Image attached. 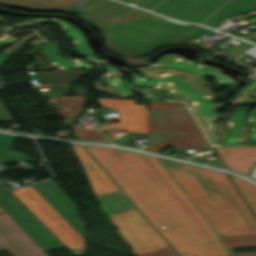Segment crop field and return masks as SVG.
I'll return each instance as SVG.
<instances>
[{"label": "crop field", "instance_id": "crop-field-1", "mask_svg": "<svg viewBox=\"0 0 256 256\" xmlns=\"http://www.w3.org/2000/svg\"><path fill=\"white\" fill-rule=\"evenodd\" d=\"M92 9L79 17L104 28L109 47L122 53L148 54L154 47L206 36L214 31L121 5L109 0L84 2Z\"/></svg>", "mask_w": 256, "mask_h": 256}, {"label": "crop field", "instance_id": "crop-field-2", "mask_svg": "<svg viewBox=\"0 0 256 256\" xmlns=\"http://www.w3.org/2000/svg\"><path fill=\"white\" fill-rule=\"evenodd\" d=\"M158 158L219 236L256 234V219L226 173Z\"/></svg>", "mask_w": 256, "mask_h": 256}, {"label": "crop field", "instance_id": "crop-field-3", "mask_svg": "<svg viewBox=\"0 0 256 256\" xmlns=\"http://www.w3.org/2000/svg\"><path fill=\"white\" fill-rule=\"evenodd\" d=\"M83 147L181 256H209L120 149ZM163 225L167 228L162 229Z\"/></svg>", "mask_w": 256, "mask_h": 256}, {"label": "crop field", "instance_id": "crop-field-4", "mask_svg": "<svg viewBox=\"0 0 256 256\" xmlns=\"http://www.w3.org/2000/svg\"><path fill=\"white\" fill-rule=\"evenodd\" d=\"M121 150L202 244L210 256L230 255L202 216L154 156Z\"/></svg>", "mask_w": 256, "mask_h": 256}, {"label": "crop field", "instance_id": "crop-field-5", "mask_svg": "<svg viewBox=\"0 0 256 256\" xmlns=\"http://www.w3.org/2000/svg\"><path fill=\"white\" fill-rule=\"evenodd\" d=\"M147 149L160 152L173 146L176 152L207 146L183 106L178 102L149 101Z\"/></svg>", "mask_w": 256, "mask_h": 256}, {"label": "crop field", "instance_id": "crop-field-6", "mask_svg": "<svg viewBox=\"0 0 256 256\" xmlns=\"http://www.w3.org/2000/svg\"><path fill=\"white\" fill-rule=\"evenodd\" d=\"M11 191L75 256L83 253V237L32 186Z\"/></svg>", "mask_w": 256, "mask_h": 256}, {"label": "crop field", "instance_id": "crop-field-7", "mask_svg": "<svg viewBox=\"0 0 256 256\" xmlns=\"http://www.w3.org/2000/svg\"><path fill=\"white\" fill-rule=\"evenodd\" d=\"M108 217L133 248L131 255L170 247L136 208Z\"/></svg>", "mask_w": 256, "mask_h": 256}, {"label": "crop field", "instance_id": "crop-field-8", "mask_svg": "<svg viewBox=\"0 0 256 256\" xmlns=\"http://www.w3.org/2000/svg\"><path fill=\"white\" fill-rule=\"evenodd\" d=\"M105 107H116L119 123L104 125L101 131L127 130L128 134L146 133V105H134V100H111L97 98Z\"/></svg>", "mask_w": 256, "mask_h": 256}, {"label": "crop field", "instance_id": "crop-field-9", "mask_svg": "<svg viewBox=\"0 0 256 256\" xmlns=\"http://www.w3.org/2000/svg\"><path fill=\"white\" fill-rule=\"evenodd\" d=\"M3 249L13 256H47L4 212L0 214V250Z\"/></svg>", "mask_w": 256, "mask_h": 256}, {"label": "crop field", "instance_id": "crop-field-10", "mask_svg": "<svg viewBox=\"0 0 256 256\" xmlns=\"http://www.w3.org/2000/svg\"><path fill=\"white\" fill-rule=\"evenodd\" d=\"M227 0H167L154 12L175 19L200 23Z\"/></svg>", "mask_w": 256, "mask_h": 256}, {"label": "crop field", "instance_id": "crop-field-11", "mask_svg": "<svg viewBox=\"0 0 256 256\" xmlns=\"http://www.w3.org/2000/svg\"><path fill=\"white\" fill-rule=\"evenodd\" d=\"M32 186L73 228L83 237L85 236L87 225L79 219L75 204L52 179L32 184Z\"/></svg>", "mask_w": 256, "mask_h": 256}, {"label": "crop field", "instance_id": "crop-field-12", "mask_svg": "<svg viewBox=\"0 0 256 256\" xmlns=\"http://www.w3.org/2000/svg\"><path fill=\"white\" fill-rule=\"evenodd\" d=\"M7 214L37 243L44 252L64 247V245L25 208L7 212Z\"/></svg>", "mask_w": 256, "mask_h": 256}, {"label": "crop field", "instance_id": "crop-field-13", "mask_svg": "<svg viewBox=\"0 0 256 256\" xmlns=\"http://www.w3.org/2000/svg\"><path fill=\"white\" fill-rule=\"evenodd\" d=\"M88 71L89 70L34 72L30 74V78L36 79V82L49 83L52 91L39 94L42 97H51L59 96L68 89L73 81L81 79Z\"/></svg>", "mask_w": 256, "mask_h": 256}, {"label": "crop field", "instance_id": "crop-field-14", "mask_svg": "<svg viewBox=\"0 0 256 256\" xmlns=\"http://www.w3.org/2000/svg\"><path fill=\"white\" fill-rule=\"evenodd\" d=\"M71 145L79 157L96 195L118 190V187L116 188L110 181L111 179L109 180L80 145Z\"/></svg>", "mask_w": 256, "mask_h": 256}, {"label": "crop field", "instance_id": "crop-field-15", "mask_svg": "<svg viewBox=\"0 0 256 256\" xmlns=\"http://www.w3.org/2000/svg\"><path fill=\"white\" fill-rule=\"evenodd\" d=\"M227 168L249 174L256 161V149L232 147L215 149Z\"/></svg>", "mask_w": 256, "mask_h": 256}, {"label": "crop field", "instance_id": "crop-field-16", "mask_svg": "<svg viewBox=\"0 0 256 256\" xmlns=\"http://www.w3.org/2000/svg\"><path fill=\"white\" fill-rule=\"evenodd\" d=\"M59 116L63 118V123L70 126L71 119L81 110L87 98L79 97H51L49 98Z\"/></svg>", "mask_w": 256, "mask_h": 256}, {"label": "crop field", "instance_id": "crop-field-17", "mask_svg": "<svg viewBox=\"0 0 256 256\" xmlns=\"http://www.w3.org/2000/svg\"><path fill=\"white\" fill-rule=\"evenodd\" d=\"M253 9H256V0H238L236 2H228L203 24L213 27L221 19Z\"/></svg>", "mask_w": 256, "mask_h": 256}, {"label": "crop field", "instance_id": "crop-field-18", "mask_svg": "<svg viewBox=\"0 0 256 256\" xmlns=\"http://www.w3.org/2000/svg\"><path fill=\"white\" fill-rule=\"evenodd\" d=\"M14 137L0 133V162L32 159L24 154L10 151Z\"/></svg>", "mask_w": 256, "mask_h": 256}, {"label": "crop field", "instance_id": "crop-field-19", "mask_svg": "<svg viewBox=\"0 0 256 256\" xmlns=\"http://www.w3.org/2000/svg\"><path fill=\"white\" fill-rule=\"evenodd\" d=\"M228 248L256 246V235L221 237ZM231 250V249H230ZM232 252V251H231ZM233 253V252H232ZM235 256H256V252L235 254Z\"/></svg>", "mask_w": 256, "mask_h": 256}, {"label": "crop field", "instance_id": "crop-field-20", "mask_svg": "<svg viewBox=\"0 0 256 256\" xmlns=\"http://www.w3.org/2000/svg\"><path fill=\"white\" fill-rule=\"evenodd\" d=\"M231 179L234 181L247 203L256 215V185L246 182L240 178L230 175Z\"/></svg>", "mask_w": 256, "mask_h": 256}, {"label": "crop field", "instance_id": "crop-field-21", "mask_svg": "<svg viewBox=\"0 0 256 256\" xmlns=\"http://www.w3.org/2000/svg\"><path fill=\"white\" fill-rule=\"evenodd\" d=\"M74 132L79 136L78 139L83 140H94V141H105L109 142L98 130L80 128L72 125Z\"/></svg>", "mask_w": 256, "mask_h": 256}, {"label": "crop field", "instance_id": "crop-field-22", "mask_svg": "<svg viewBox=\"0 0 256 256\" xmlns=\"http://www.w3.org/2000/svg\"><path fill=\"white\" fill-rule=\"evenodd\" d=\"M23 206L8 190H0V207L6 211Z\"/></svg>", "mask_w": 256, "mask_h": 256}, {"label": "crop field", "instance_id": "crop-field-23", "mask_svg": "<svg viewBox=\"0 0 256 256\" xmlns=\"http://www.w3.org/2000/svg\"><path fill=\"white\" fill-rule=\"evenodd\" d=\"M122 1L151 9L162 0H122Z\"/></svg>", "mask_w": 256, "mask_h": 256}, {"label": "crop field", "instance_id": "crop-field-24", "mask_svg": "<svg viewBox=\"0 0 256 256\" xmlns=\"http://www.w3.org/2000/svg\"><path fill=\"white\" fill-rule=\"evenodd\" d=\"M136 256H178L175 251L170 247L163 250H158L154 252L144 253Z\"/></svg>", "mask_w": 256, "mask_h": 256}, {"label": "crop field", "instance_id": "crop-field-25", "mask_svg": "<svg viewBox=\"0 0 256 256\" xmlns=\"http://www.w3.org/2000/svg\"><path fill=\"white\" fill-rule=\"evenodd\" d=\"M3 86H0V90L3 89ZM12 120L11 117L9 116L8 112L6 111V109L2 106L1 102H0V123L2 122H6Z\"/></svg>", "mask_w": 256, "mask_h": 256}, {"label": "crop field", "instance_id": "crop-field-26", "mask_svg": "<svg viewBox=\"0 0 256 256\" xmlns=\"http://www.w3.org/2000/svg\"><path fill=\"white\" fill-rule=\"evenodd\" d=\"M207 162H208V164H210V165L222 167L221 164L218 162V160H210V161H207Z\"/></svg>", "mask_w": 256, "mask_h": 256}, {"label": "crop field", "instance_id": "crop-field-27", "mask_svg": "<svg viewBox=\"0 0 256 256\" xmlns=\"http://www.w3.org/2000/svg\"><path fill=\"white\" fill-rule=\"evenodd\" d=\"M191 160H194V161H198V162H202L204 163V161L202 160V158H199V157H192Z\"/></svg>", "mask_w": 256, "mask_h": 256}, {"label": "crop field", "instance_id": "crop-field-28", "mask_svg": "<svg viewBox=\"0 0 256 256\" xmlns=\"http://www.w3.org/2000/svg\"><path fill=\"white\" fill-rule=\"evenodd\" d=\"M4 20H3V18H2V16H0V22H3Z\"/></svg>", "mask_w": 256, "mask_h": 256}, {"label": "crop field", "instance_id": "crop-field-29", "mask_svg": "<svg viewBox=\"0 0 256 256\" xmlns=\"http://www.w3.org/2000/svg\"><path fill=\"white\" fill-rule=\"evenodd\" d=\"M0 84H2V81H1V79H0Z\"/></svg>", "mask_w": 256, "mask_h": 256}]
</instances>
